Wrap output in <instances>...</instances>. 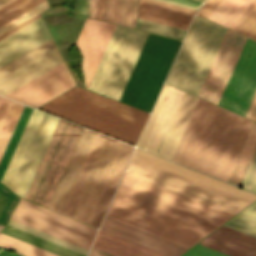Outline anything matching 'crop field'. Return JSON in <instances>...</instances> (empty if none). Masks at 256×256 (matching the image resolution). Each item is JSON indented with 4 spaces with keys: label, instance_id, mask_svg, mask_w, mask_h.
Returning a JSON list of instances; mask_svg holds the SVG:
<instances>
[{
    "label": "crop field",
    "instance_id": "obj_22",
    "mask_svg": "<svg viewBox=\"0 0 256 256\" xmlns=\"http://www.w3.org/2000/svg\"><path fill=\"white\" fill-rule=\"evenodd\" d=\"M197 99V97L187 92L185 93L169 127V130L163 140V143L157 153L158 155L170 160L172 159Z\"/></svg>",
    "mask_w": 256,
    "mask_h": 256
},
{
    "label": "crop field",
    "instance_id": "obj_20",
    "mask_svg": "<svg viewBox=\"0 0 256 256\" xmlns=\"http://www.w3.org/2000/svg\"><path fill=\"white\" fill-rule=\"evenodd\" d=\"M194 13L154 0H140L138 17L186 29Z\"/></svg>",
    "mask_w": 256,
    "mask_h": 256
},
{
    "label": "crop field",
    "instance_id": "obj_52",
    "mask_svg": "<svg viewBox=\"0 0 256 256\" xmlns=\"http://www.w3.org/2000/svg\"><path fill=\"white\" fill-rule=\"evenodd\" d=\"M15 0H0V8L6 6L7 4L13 2Z\"/></svg>",
    "mask_w": 256,
    "mask_h": 256
},
{
    "label": "crop field",
    "instance_id": "obj_7",
    "mask_svg": "<svg viewBox=\"0 0 256 256\" xmlns=\"http://www.w3.org/2000/svg\"><path fill=\"white\" fill-rule=\"evenodd\" d=\"M147 34L116 25L88 88L118 100Z\"/></svg>",
    "mask_w": 256,
    "mask_h": 256
},
{
    "label": "crop field",
    "instance_id": "obj_51",
    "mask_svg": "<svg viewBox=\"0 0 256 256\" xmlns=\"http://www.w3.org/2000/svg\"><path fill=\"white\" fill-rule=\"evenodd\" d=\"M0 256H18V255L14 254V253H10V252L1 250L0 251Z\"/></svg>",
    "mask_w": 256,
    "mask_h": 256
},
{
    "label": "crop field",
    "instance_id": "obj_45",
    "mask_svg": "<svg viewBox=\"0 0 256 256\" xmlns=\"http://www.w3.org/2000/svg\"><path fill=\"white\" fill-rule=\"evenodd\" d=\"M221 0H208L205 5L200 9V11L197 13L198 15L206 18L209 13L216 7V5L220 2Z\"/></svg>",
    "mask_w": 256,
    "mask_h": 256
},
{
    "label": "crop field",
    "instance_id": "obj_41",
    "mask_svg": "<svg viewBox=\"0 0 256 256\" xmlns=\"http://www.w3.org/2000/svg\"><path fill=\"white\" fill-rule=\"evenodd\" d=\"M255 176H256V150L239 186L249 190L254 181Z\"/></svg>",
    "mask_w": 256,
    "mask_h": 256
},
{
    "label": "crop field",
    "instance_id": "obj_2",
    "mask_svg": "<svg viewBox=\"0 0 256 256\" xmlns=\"http://www.w3.org/2000/svg\"><path fill=\"white\" fill-rule=\"evenodd\" d=\"M252 123L199 98L172 160L226 181Z\"/></svg>",
    "mask_w": 256,
    "mask_h": 256
},
{
    "label": "crop field",
    "instance_id": "obj_27",
    "mask_svg": "<svg viewBox=\"0 0 256 256\" xmlns=\"http://www.w3.org/2000/svg\"><path fill=\"white\" fill-rule=\"evenodd\" d=\"M138 0H106L104 20L135 28Z\"/></svg>",
    "mask_w": 256,
    "mask_h": 256
},
{
    "label": "crop field",
    "instance_id": "obj_47",
    "mask_svg": "<svg viewBox=\"0 0 256 256\" xmlns=\"http://www.w3.org/2000/svg\"><path fill=\"white\" fill-rule=\"evenodd\" d=\"M105 0H98L96 19L103 20Z\"/></svg>",
    "mask_w": 256,
    "mask_h": 256
},
{
    "label": "crop field",
    "instance_id": "obj_19",
    "mask_svg": "<svg viewBox=\"0 0 256 256\" xmlns=\"http://www.w3.org/2000/svg\"><path fill=\"white\" fill-rule=\"evenodd\" d=\"M100 229L168 256H178L187 249L107 217Z\"/></svg>",
    "mask_w": 256,
    "mask_h": 256
},
{
    "label": "crop field",
    "instance_id": "obj_25",
    "mask_svg": "<svg viewBox=\"0 0 256 256\" xmlns=\"http://www.w3.org/2000/svg\"><path fill=\"white\" fill-rule=\"evenodd\" d=\"M23 107L21 104L0 96V159Z\"/></svg>",
    "mask_w": 256,
    "mask_h": 256
},
{
    "label": "crop field",
    "instance_id": "obj_46",
    "mask_svg": "<svg viewBox=\"0 0 256 256\" xmlns=\"http://www.w3.org/2000/svg\"><path fill=\"white\" fill-rule=\"evenodd\" d=\"M245 116L256 121V93Z\"/></svg>",
    "mask_w": 256,
    "mask_h": 256
},
{
    "label": "crop field",
    "instance_id": "obj_36",
    "mask_svg": "<svg viewBox=\"0 0 256 256\" xmlns=\"http://www.w3.org/2000/svg\"><path fill=\"white\" fill-rule=\"evenodd\" d=\"M44 0H16L0 9V26Z\"/></svg>",
    "mask_w": 256,
    "mask_h": 256
},
{
    "label": "crop field",
    "instance_id": "obj_12",
    "mask_svg": "<svg viewBox=\"0 0 256 256\" xmlns=\"http://www.w3.org/2000/svg\"><path fill=\"white\" fill-rule=\"evenodd\" d=\"M246 39L240 34L227 30L199 97L218 103Z\"/></svg>",
    "mask_w": 256,
    "mask_h": 256
},
{
    "label": "crop field",
    "instance_id": "obj_14",
    "mask_svg": "<svg viewBox=\"0 0 256 256\" xmlns=\"http://www.w3.org/2000/svg\"><path fill=\"white\" fill-rule=\"evenodd\" d=\"M115 25L87 19L76 45L83 56L82 69L88 87Z\"/></svg>",
    "mask_w": 256,
    "mask_h": 256
},
{
    "label": "crop field",
    "instance_id": "obj_42",
    "mask_svg": "<svg viewBox=\"0 0 256 256\" xmlns=\"http://www.w3.org/2000/svg\"><path fill=\"white\" fill-rule=\"evenodd\" d=\"M181 256H228L225 254H222L220 252L214 251L212 249H209L207 247L201 246L199 244L195 245L185 253H183Z\"/></svg>",
    "mask_w": 256,
    "mask_h": 256
},
{
    "label": "crop field",
    "instance_id": "obj_31",
    "mask_svg": "<svg viewBox=\"0 0 256 256\" xmlns=\"http://www.w3.org/2000/svg\"><path fill=\"white\" fill-rule=\"evenodd\" d=\"M47 8H49L48 3L47 1H44L39 5L33 7L32 9L28 10L27 12L2 25L0 27V39L6 37L14 31L41 17L39 13Z\"/></svg>",
    "mask_w": 256,
    "mask_h": 256
},
{
    "label": "crop field",
    "instance_id": "obj_21",
    "mask_svg": "<svg viewBox=\"0 0 256 256\" xmlns=\"http://www.w3.org/2000/svg\"><path fill=\"white\" fill-rule=\"evenodd\" d=\"M184 93L182 90L170 87L144 149L157 153Z\"/></svg>",
    "mask_w": 256,
    "mask_h": 256
},
{
    "label": "crop field",
    "instance_id": "obj_10",
    "mask_svg": "<svg viewBox=\"0 0 256 256\" xmlns=\"http://www.w3.org/2000/svg\"><path fill=\"white\" fill-rule=\"evenodd\" d=\"M11 219L89 249L97 229L20 199Z\"/></svg>",
    "mask_w": 256,
    "mask_h": 256
},
{
    "label": "crop field",
    "instance_id": "obj_18",
    "mask_svg": "<svg viewBox=\"0 0 256 256\" xmlns=\"http://www.w3.org/2000/svg\"><path fill=\"white\" fill-rule=\"evenodd\" d=\"M95 134L96 133L93 131L85 128L83 129L57 190L48 207L49 209L59 213L61 212Z\"/></svg>",
    "mask_w": 256,
    "mask_h": 256
},
{
    "label": "crop field",
    "instance_id": "obj_23",
    "mask_svg": "<svg viewBox=\"0 0 256 256\" xmlns=\"http://www.w3.org/2000/svg\"><path fill=\"white\" fill-rule=\"evenodd\" d=\"M92 246L116 256H165L101 230Z\"/></svg>",
    "mask_w": 256,
    "mask_h": 256
},
{
    "label": "crop field",
    "instance_id": "obj_13",
    "mask_svg": "<svg viewBox=\"0 0 256 256\" xmlns=\"http://www.w3.org/2000/svg\"><path fill=\"white\" fill-rule=\"evenodd\" d=\"M74 84L75 82L64 62L5 97L37 107L74 86Z\"/></svg>",
    "mask_w": 256,
    "mask_h": 256
},
{
    "label": "crop field",
    "instance_id": "obj_3",
    "mask_svg": "<svg viewBox=\"0 0 256 256\" xmlns=\"http://www.w3.org/2000/svg\"><path fill=\"white\" fill-rule=\"evenodd\" d=\"M125 172L233 214L256 199V194L138 149Z\"/></svg>",
    "mask_w": 256,
    "mask_h": 256
},
{
    "label": "crop field",
    "instance_id": "obj_26",
    "mask_svg": "<svg viewBox=\"0 0 256 256\" xmlns=\"http://www.w3.org/2000/svg\"><path fill=\"white\" fill-rule=\"evenodd\" d=\"M253 1L254 0H222L207 19L230 29Z\"/></svg>",
    "mask_w": 256,
    "mask_h": 256
},
{
    "label": "crop field",
    "instance_id": "obj_53",
    "mask_svg": "<svg viewBox=\"0 0 256 256\" xmlns=\"http://www.w3.org/2000/svg\"><path fill=\"white\" fill-rule=\"evenodd\" d=\"M250 190L256 193V178Z\"/></svg>",
    "mask_w": 256,
    "mask_h": 256
},
{
    "label": "crop field",
    "instance_id": "obj_6",
    "mask_svg": "<svg viewBox=\"0 0 256 256\" xmlns=\"http://www.w3.org/2000/svg\"><path fill=\"white\" fill-rule=\"evenodd\" d=\"M226 30L195 15L166 82L197 96Z\"/></svg>",
    "mask_w": 256,
    "mask_h": 256
},
{
    "label": "crop field",
    "instance_id": "obj_40",
    "mask_svg": "<svg viewBox=\"0 0 256 256\" xmlns=\"http://www.w3.org/2000/svg\"><path fill=\"white\" fill-rule=\"evenodd\" d=\"M0 193L9 199L4 210L2 211V213L0 215V222L5 224L18 197L15 196L12 192H10L7 188H5L1 184H0Z\"/></svg>",
    "mask_w": 256,
    "mask_h": 256
},
{
    "label": "crop field",
    "instance_id": "obj_1",
    "mask_svg": "<svg viewBox=\"0 0 256 256\" xmlns=\"http://www.w3.org/2000/svg\"><path fill=\"white\" fill-rule=\"evenodd\" d=\"M113 200L203 236L233 215L126 173ZM114 201L106 215L109 218L187 248L203 238Z\"/></svg>",
    "mask_w": 256,
    "mask_h": 256
},
{
    "label": "crop field",
    "instance_id": "obj_49",
    "mask_svg": "<svg viewBox=\"0 0 256 256\" xmlns=\"http://www.w3.org/2000/svg\"><path fill=\"white\" fill-rule=\"evenodd\" d=\"M88 256H113L111 254H108L106 252H103L101 250L95 249V248H91Z\"/></svg>",
    "mask_w": 256,
    "mask_h": 256
},
{
    "label": "crop field",
    "instance_id": "obj_11",
    "mask_svg": "<svg viewBox=\"0 0 256 256\" xmlns=\"http://www.w3.org/2000/svg\"><path fill=\"white\" fill-rule=\"evenodd\" d=\"M255 91L256 42L248 38L218 104L244 116Z\"/></svg>",
    "mask_w": 256,
    "mask_h": 256
},
{
    "label": "crop field",
    "instance_id": "obj_28",
    "mask_svg": "<svg viewBox=\"0 0 256 256\" xmlns=\"http://www.w3.org/2000/svg\"><path fill=\"white\" fill-rule=\"evenodd\" d=\"M256 148V123H253L250 132L245 140L241 152L236 160L232 172L228 178V182L239 185L243 174L249 164V161Z\"/></svg>",
    "mask_w": 256,
    "mask_h": 256
},
{
    "label": "crop field",
    "instance_id": "obj_8",
    "mask_svg": "<svg viewBox=\"0 0 256 256\" xmlns=\"http://www.w3.org/2000/svg\"><path fill=\"white\" fill-rule=\"evenodd\" d=\"M58 120L32 110L1 180L18 195L24 197Z\"/></svg>",
    "mask_w": 256,
    "mask_h": 256
},
{
    "label": "crop field",
    "instance_id": "obj_35",
    "mask_svg": "<svg viewBox=\"0 0 256 256\" xmlns=\"http://www.w3.org/2000/svg\"><path fill=\"white\" fill-rule=\"evenodd\" d=\"M54 46L56 45L53 39H50L45 43L39 45L38 47L34 48L33 50L27 52L26 54L20 56L19 58L13 60L12 62L6 64L5 66L0 68V78Z\"/></svg>",
    "mask_w": 256,
    "mask_h": 256
},
{
    "label": "crop field",
    "instance_id": "obj_5",
    "mask_svg": "<svg viewBox=\"0 0 256 256\" xmlns=\"http://www.w3.org/2000/svg\"><path fill=\"white\" fill-rule=\"evenodd\" d=\"M123 145L96 134L62 214L89 223Z\"/></svg>",
    "mask_w": 256,
    "mask_h": 256
},
{
    "label": "crop field",
    "instance_id": "obj_4",
    "mask_svg": "<svg viewBox=\"0 0 256 256\" xmlns=\"http://www.w3.org/2000/svg\"><path fill=\"white\" fill-rule=\"evenodd\" d=\"M135 145L149 113L75 86L39 107Z\"/></svg>",
    "mask_w": 256,
    "mask_h": 256
},
{
    "label": "crop field",
    "instance_id": "obj_33",
    "mask_svg": "<svg viewBox=\"0 0 256 256\" xmlns=\"http://www.w3.org/2000/svg\"><path fill=\"white\" fill-rule=\"evenodd\" d=\"M31 110H32L31 108L25 106V108H24V110L21 114V117H20V119L17 123V126H16V128L13 132V135H12L10 141H9V144H8V146L6 148V151H5V153L2 157V160L0 162V180L3 176V174H4V171H5V169L7 167V164L9 162L10 158H11V155L14 151V148H15L17 142H18V139L21 135V132H22L24 126H25V123L28 119V116H29Z\"/></svg>",
    "mask_w": 256,
    "mask_h": 256
},
{
    "label": "crop field",
    "instance_id": "obj_29",
    "mask_svg": "<svg viewBox=\"0 0 256 256\" xmlns=\"http://www.w3.org/2000/svg\"><path fill=\"white\" fill-rule=\"evenodd\" d=\"M2 233L7 234L9 236L15 237L27 243L33 244L50 252L56 253L61 256H85L83 254L77 253L65 247L59 246L52 242L46 241L34 235L28 234L16 228L10 227L6 225Z\"/></svg>",
    "mask_w": 256,
    "mask_h": 256
},
{
    "label": "crop field",
    "instance_id": "obj_24",
    "mask_svg": "<svg viewBox=\"0 0 256 256\" xmlns=\"http://www.w3.org/2000/svg\"><path fill=\"white\" fill-rule=\"evenodd\" d=\"M132 150H133V147L128 146L126 144L124 145L121 151V154L117 160V163L105 186V189L102 193V196L99 200L96 210L92 216V219L89 223L90 225H93L96 227L99 226Z\"/></svg>",
    "mask_w": 256,
    "mask_h": 256
},
{
    "label": "crop field",
    "instance_id": "obj_16",
    "mask_svg": "<svg viewBox=\"0 0 256 256\" xmlns=\"http://www.w3.org/2000/svg\"><path fill=\"white\" fill-rule=\"evenodd\" d=\"M64 62L57 46L0 79V95L4 96L37 76Z\"/></svg>",
    "mask_w": 256,
    "mask_h": 256
},
{
    "label": "crop field",
    "instance_id": "obj_39",
    "mask_svg": "<svg viewBox=\"0 0 256 256\" xmlns=\"http://www.w3.org/2000/svg\"><path fill=\"white\" fill-rule=\"evenodd\" d=\"M235 31L256 40V7Z\"/></svg>",
    "mask_w": 256,
    "mask_h": 256
},
{
    "label": "crop field",
    "instance_id": "obj_43",
    "mask_svg": "<svg viewBox=\"0 0 256 256\" xmlns=\"http://www.w3.org/2000/svg\"><path fill=\"white\" fill-rule=\"evenodd\" d=\"M190 9L197 10L205 0H158Z\"/></svg>",
    "mask_w": 256,
    "mask_h": 256
},
{
    "label": "crop field",
    "instance_id": "obj_30",
    "mask_svg": "<svg viewBox=\"0 0 256 256\" xmlns=\"http://www.w3.org/2000/svg\"><path fill=\"white\" fill-rule=\"evenodd\" d=\"M224 225L256 237V202L227 221Z\"/></svg>",
    "mask_w": 256,
    "mask_h": 256
},
{
    "label": "crop field",
    "instance_id": "obj_37",
    "mask_svg": "<svg viewBox=\"0 0 256 256\" xmlns=\"http://www.w3.org/2000/svg\"><path fill=\"white\" fill-rule=\"evenodd\" d=\"M8 225L13 226V227H16V228H18V229H21V230L26 231V232H28V233L34 234V235L39 236V237H41V238L47 239V240L52 241V242H54V243H57V244H59V245L65 246V247L70 248V249H72V250H75V251H77V252L83 253V254H85V255H86L87 252H88V251L85 250V249H82V248L77 247V246H75V245H72V244H70V243H68V242H65V241H63V240H60V239H58V238H55V237H53V236H50V235H48V234H45V233H43V232H40V231L35 230V229H33V228H30V227H28V226H26V225H23V224H21V223H18V222H16V221L11 220V219L9 220Z\"/></svg>",
    "mask_w": 256,
    "mask_h": 256
},
{
    "label": "crop field",
    "instance_id": "obj_32",
    "mask_svg": "<svg viewBox=\"0 0 256 256\" xmlns=\"http://www.w3.org/2000/svg\"><path fill=\"white\" fill-rule=\"evenodd\" d=\"M0 246L19 252L25 256H58L2 233H0Z\"/></svg>",
    "mask_w": 256,
    "mask_h": 256
},
{
    "label": "crop field",
    "instance_id": "obj_9",
    "mask_svg": "<svg viewBox=\"0 0 256 256\" xmlns=\"http://www.w3.org/2000/svg\"><path fill=\"white\" fill-rule=\"evenodd\" d=\"M82 127L59 120L25 199L48 207Z\"/></svg>",
    "mask_w": 256,
    "mask_h": 256
},
{
    "label": "crop field",
    "instance_id": "obj_17",
    "mask_svg": "<svg viewBox=\"0 0 256 256\" xmlns=\"http://www.w3.org/2000/svg\"><path fill=\"white\" fill-rule=\"evenodd\" d=\"M199 244L230 256H256V238L224 225Z\"/></svg>",
    "mask_w": 256,
    "mask_h": 256
},
{
    "label": "crop field",
    "instance_id": "obj_50",
    "mask_svg": "<svg viewBox=\"0 0 256 256\" xmlns=\"http://www.w3.org/2000/svg\"><path fill=\"white\" fill-rule=\"evenodd\" d=\"M96 3H97V0H93L91 17L94 18V19H95V14H96Z\"/></svg>",
    "mask_w": 256,
    "mask_h": 256
},
{
    "label": "crop field",
    "instance_id": "obj_44",
    "mask_svg": "<svg viewBox=\"0 0 256 256\" xmlns=\"http://www.w3.org/2000/svg\"><path fill=\"white\" fill-rule=\"evenodd\" d=\"M92 0H78L76 17H90Z\"/></svg>",
    "mask_w": 256,
    "mask_h": 256
},
{
    "label": "crop field",
    "instance_id": "obj_48",
    "mask_svg": "<svg viewBox=\"0 0 256 256\" xmlns=\"http://www.w3.org/2000/svg\"><path fill=\"white\" fill-rule=\"evenodd\" d=\"M256 6V0L255 2L248 8V10L241 16V18L234 24V26L231 28L232 30H235L237 26L244 20V18L251 12V10Z\"/></svg>",
    "mask_w": 256,
    "mask_h": 256
},
{
    "label": "crop field",
    "instance_id": "obj_34",
    "mask_svg": "<svg viewBox=\"0 0 256 256\" xmlns=\"http://www.w3.org/2000/svg\"><path fill=\"white\" fill-rule=\"evenodd\" d=\"M137 29L182 40L186 30L140 19L138 18Z\"/></svg>",
    "mask_w": 256,
    "mask_h": 256
},
{
    "label": "crop field",
    "instance_id": "obj_38",
    "mask_svg": "<svg viewBox=\"0 0 256 256\" xmlns=\"http://www.w3.org/2000/svg\"><path fill=\"white\" fill-rule=\"evenodd\" d=\"M169 87L170 86L167 85V84L164 85V87H163V89H162V91L160 93V96H159V98H158V100L156 102V105H155V107H154V109H153V111L151 113V116H150V118H149V120H148V122L146 124V127H145V129H144V131L142 133V136H141V138H140V140H139V142L137 144V147H140V148L143 147V145H144V143L146 141V138H147V136H148V134L150 132V129H151L153 123H154V120H155V118H156V116L158 114V111H159V109H160V107L162 105V102H163V100H164V98L166 96V93H167Z\"/></svg>",
    "mask_w": 256,
    "mask_h": 256
},
{
    "label": "crop field",
    "instance_id": "obj_15",
    "mask_svg": "<svg viewBox=\"0 0 256 256\" xmlns=\"http://www.w3.org/2000/svg\"><path fill=\"white\" fill-rule=\"evenodd\" d=\"M52 38L42 17L0 40V67Z\"/></svg>",
    "mask_w": 256,
    "mask_h": 256
}]
</instances>
